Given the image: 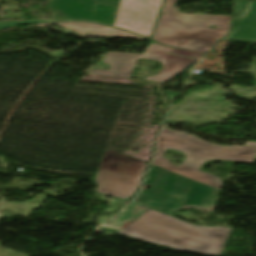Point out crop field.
<instances>
[{
	"label": "crop field",
	"mask_w": 256,
	"mask_h": 256,
	"mask_svg": "<svg viewBox=\"0 0 256 256\" xmlns=\"http://www.w3.org/2000/svg\"><path fill=\"white\" fill-rule=\"evenodd\" d=\"M218 193L152 165L136 199L100 227L174 249L221 256L232 227H202L173 217L187 208L213 212Z\"/></svg>",
	"instance_id": "1"
},
{
	"label": "crop field",
	"mask_w": 256,
	"mask_h": 256,
	"mask_svg": "<svg viewBox=\"0 0 256 256\" xmlns=\"http://www.w3.org/2000/svg\"><path fill=\"white\" fill-rule=\"evenodd\" d=\"M227 37L256 39V4L235 0L232 30Z\"/></svg>",
	"instance_id": "8"
},
{
	"label": "crop field",
	"mask_w": 256,
	"mask_h": 256,
	"mask_svg": "<svg viewBox=\"0 0 256 256\" xmlns=\"http://www.w3.org/2000/svg\"><path fill=\"white\" fill-rule=\"evenodd\" d=\"M147 163L106 149L99 167L95 192L128 200L141 182Z\"/></svg>",
	"instance_id": "5"
},
{
	"label": "crop field",
	"mask_w": 256,
	"mask_h": 256,
	"mask_svg": "<svg viewBox=\"0 0 256 256\" xmlns=\"http://www.w3.org/2000/svg\"><path fill=\"white\" fill-rule=\"evenodd\" d=\"M166 0L152 39L177 48L205 53L229 31L230 16L183 14ZM215 25L216 29H209Z\"/></svg>",
	"instance_id": "3"
},
{
	"label": "crop field",
	"mask_w": 256,
	"mask_h": 256,
	"mask_svg": "<svg viewBox=\"0 0 256 256\" xmlns=\"http://www.w3.org/2000/svg\"><path fill=\"white\" fill-rule=\"evenodd\" d=\"M167 148L181 151L186 160L178 167L170 164L162 157ZM255 156L256 147L208 144L195 136L163 128L157 139L153 164L220 190L222 183L219 177L197 170L204 162L223 159L253 164Z\"/></svg>",
	"instance_id": "2"
},
{
	"label": "crop field",
	"mask_w": 256,
	"mask_h": 256,
	"mask_svg": "<svg viewBox=\"0 0 256 256\" xmlns=\"http://www.w3.org/2000/svg\"><path fill=\"white\" fill-rule=\"evenodd\" d=\"M165 51L196 58L202 56L201 54L173 49L152 43L147 47L144 54L107 52L102 62L109 63L112 68L109 70L95 69L91 70L90 72L129 78L137 60L140 58H145L160 61L164 66L159 75L150 76L146 79L163 83L167 79L183 71L186 66L196 61L195 59L168 54L165 53Z\"/></svg>",
	"instance_id": "4"
},
{
	"label": "crop field",
	"mask_w": 256,
	"mask_h": 256,
	"mask_svg": "<svg viewBox=\"0 0 256 256\" xmlns=\"http://www.w3.org/2000/svg\"><path fill=\"white\" fill-rule=\"evenodd\" d=\"M59 24L68 29L74 30L78 32V35L83 37H91V38H100L107 37L110 35L111 29L110 27L85 23V22H61V23H49V24H41L39 26L45 25H54Z\"/></svg>",
	"instance_id": "9"
},
{
	"label": "crop field",
	"mask_w": 256,
	"mask_h": 256,
	"mask_svg": "<svg viewBox=\"0 0 256 256\" xmlns=\"http://www.w3.org/2000/svg\"><path fill=\"white\" fill-rule=\"evenodd\" d=\"M113 36L144 39V37H140V36L128 33V32H124V31L118 30L116 28H114Z\"/></svg>",
	"instance_id": "10"
},
{
	"label": "crop field",
	"mask_w": 256,
	"mask_h": 256,
	"mask_svg": "<svg viewBox=\"0 0 256 256\" xmlns=\"http://www.w3.org/2000/svg\"><path fill=\"white\" fill-rule=\"evenodd\" d=\"M162 1L122 0L115 26L149 38Z\"/></svg>",
	"instance_id": "7"
},
{
	"label": "crop field",
	"mask_w": 256,
	"mask_h": 256,
	"mask_svg": "<svg viewBox=\"0 0 256 256\" xmlns=\"http://www.w3.org/2000/svg\"><path fill=\"white\" fill-rule=\"evenodd\" d=\"M165 92H166V94H167V96H168V98H169L170 101H171L175 96L178 95V93H174V92H170V91H166V90H165Z\"/></svg>",
	"instance_id": "11"
},
{
	"label": "crop field",
	"mask_w": 256,
	"mask_h": 256,
	"mask_svg": "<svg viewBox=\"0 0 256 256\" xmlns=\"http://www.w3.org/2000/svg\"><path fill=\"white\" fill-rule=\"evenodd\" d=\"M49 0L53 20L84 19L113 25L119 0ZM36 22H50L36 20Z\"/></svg>",
	"instance_id": "6"
},
{
	"label": "crop field",
	"mask_w": 256,
	"mask_h": 256,
	"mask_svg": "<svg viewBox=\"0 0 256 256\" xmlns=\"http://www.w3.org/2000/svg\"><path fill=\"white\" fill-rule=\"evenodd\" d=\"M245 145L256 146V143L246 142Z\"/></svg>",
	"instance_id": "12"
}]
</instances>
